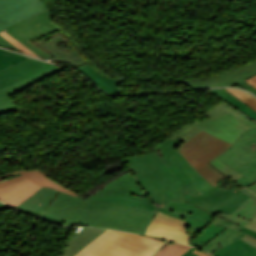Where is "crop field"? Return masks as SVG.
<instances>
[{
    "label": "crop field",
    "instance_id": "crop-field-1",
    "mask_svg": "<svg viewBox=\"0 0 256 256\" xmlns=\"http://www.w3.org/2000/svg\"><path fill=\"white\" fill-rule=\"evenodd\" d=\"M183 142L168 138L155 147L162 149L159 152L169 168L155 149V153L125 159L129 173L87 200L76 197L54 222L69 226L77 222L145 235L157 211L183 219L168 211L171 209L184 215L192 236L216 213L231 214L249 198L236 186L225 191L211 186L176 150Z\"/></svg>",
    "mask_w": 256,
    "mask_h": 256
},
{
    "label": "crop field",
    "instance_id": "crop-field-2",
    "mask_svg": "<svg viewBox=\"0 0 256 256\" xmlns=\"http://www.w3.org/2000/svg\"><path fill=\"white\" fill-rule=\"evenodd\" d=\"M167 242L132 233L106 230L73 256H151Z\"/></svg>",
    "mask_w": 256,
    "mask_h": 256
},
{
    "label": "crop field",
    "instance_id": "crop-field-3",
    "mask_svg": "<svg viewBox=\"0 0 256 256\" xmlns=\"http://www.w3.org/2000/svg\"><path fill=\"white\" fill-rule=\"evenodd\" d=\"M231 144L204 131L184 142L177 150L213 186L215 181L225 177L208 162L224 153Z\"/></svg>",
    "mask_w": 256,
    "mask_h": 256
},
{
    "label": "crop field",
    "instance_id": "crop-field-4",
    "mask_svg": "<svg viewBox=\"0 0 256 256\" xmlns=\"http://www.w3.org/2000/svg\"><path fill=\"white\" fill-rule=\"evenodd\" d=\"M19 172L22 174L21 176L0 183V201L13 208L33 195L42 186L52 187L70 195L77 196V194L73 193L74 191L71 192L72 190L69 191L70 189L68 190L62 187L63 185L61 186L57 184L58 182H54L38 170H23ZM19 172L0 176V178L14 175Z\"/></svg>",
    "mask_w": 256,
    "mask_h": 256
},
{
    "label": "crop field",
    "instance_id": "crop-field-5",
    "mask_svg": "<svg viewBox=\"0 0 256 256\" xmlns=\"http://www.w3.org/2000/svg\"><path fill=\"white\" fill-rule=\"evenodd\" d=\"M218 159L243 174L236 181L256 193V129L241 135L232 148Z\"/></svg>",
    "mask_w": 256,
    "mask_h": 256
},
{
    "label": "crop field",
    "instance_id": "crop-field-6",
    "mask_svg": "<svg viewBox=\"0 0 256 256\" xmlns=\"http://www.w3.org/2000/svg\"><path fill=\"white\" fill-rule=\"evenodd\" d=\"M54 14L48 10L41 14L32 16L24 21H21L6 30L9 35L18 40L20 43L28 47L34 53H36L41 58H49L48 54L32 45L28 41L35 39L39 36L51 33L53 31L59 30L58 26H56L53 22Z\"/></svg>",
    "mask_w": 256,
    "mask_h": 256
},
{
    "label": "crop field",
    "instance_id": "crop-field-7",
    "mask_svg": "<svg viewBox=\"0 0 256 256\" xmlns=\"http://www.w3.org/2000/svg\"><path fill=\"white\" fill-rule=\"evenodd\" d=\"M48 8L41 0H0V32Z\"/></svg>",
    "mask_w": 256,
    "mask_h": 256
},
{
    "label": "crop field",
    "instance_id": "crop-field-8",
    "mask_svg": "<svg viewBox=\"0 0 256 256\" xmlns=\"http://www.w3.org/2000/svg\"><path fill=\"white\" fill-rule=\"evenodd\" d=\"M231 144L244 131L255 128L252 125L224 112L213 118H209L196 126Z\"/></svg>",
    "mask_w": 256,
    "mask_h": 256
},
{
    "label": "crop field",
    "instance_id": "crop-field-9",
    "mask_svg": "<svg viewBox=\"0 0 256 256\" xmlns=\"http://www.w3.org/2000/svg\"><path fill=\"white\" fill-rule=\"evenodd\" d=\"M51 68L58 72L64 69L63 67L29 58L15 66L0 71V89L35 77Z\"/></svg>",
    "mask_w": 256,
    "mask_h": 256
},
{
    "label": "crop field",
    "instance_id": "crop-field-10",
    "mask_svg": "<svg viewBox=\"0 0 256 256\" xmlns=\"http://www.w3.org/2000/svg\"><path fill=\"white\" fill-rule=\"evenodd\" d=\"M146 235L187 244L189 235L183 220L157 212L147 227Z\"/></svg>",
    "mask_w": 256,
    "mask_h": 256
},
{
    "label": "crop field",
    "instance_id": "crop-field-11",
    "mask_svg": "<svg viewBox=\"0 0 256 256\" xmlns=\"http://www.w3.org/2000/svg\"><path fill=\"white\" fill-rule=\"evenodd\" d=\"M212 224L218 225V226H223L226 229L221 232L218 236L213 238L211 241H209L206 245H204L201 249L209 252V253H214L221 247H225L237 238L243 239L245 242L253 245L256 247V239L245 234L240 226H237L231 222H228L220 217H216V219L211 222Z\"/></svg>",
    "mask_w": 256,
    "mask_h": 256
},
{
    "label": "crop field",
    "instance_id": "crop-field-12",
    "mask_svg": "<svg viewBox=\"0 0 256 256\" xmlns=\"http://www.w3.org/2000/svg\"><path fill=\"white\" fill-rule=\"evenodd\" d=\"M256 74V62L244 66L239 69H235L219 76L204 79L202 81L188 82L178 80L192 88L203 87H220V86H234L239 82Z\"/></svg>",
    "mask_w": 256,
    "mask_h": 256
},
{
    "label": "crop field",
    "instance_id": "crop-field-13",
    "mask_svg": "<svg viewBox=\"0 0 256 256\" xmlns=\"http://www.w3.org/2000/svg\"><path fill=\"white\" fill-rule=\"evenodd\" d=\"M58 193L59 191L52 188L42 187L28 200L16 207V209L40 217ZM39 203H42V205H38Z\"/></svg>",
    "mask_w": 256,
    "mask_h": 256
},
{
    "label": "crop field",
    "instance_id": "crop-field-14",
    "mask_svg": "<svg viewBox=\"0 0 256 256\" xmlns=\"http://www.w3.org/2000/svg\"><path fill=\"white\" fill-rule=\"evenodd\" d=\"M55 73H57V71L52 69L40 76H37L35 78L24 81L17 85L0 90V115L18 110L17 107L14 105V103L9 98V95H13L29 86L35 84L36 82H38L50 75L55 74Z\"/></svg>",
    "mask_w": 256,
    "mask_h": 256
},
{
    "label": "crop field",
    "instance_id": "crop-field-15",
    "mask_svg": "<svg viewBox=\"0 0 256 256\" xmlns=\"http://www.w3.org/2000/svg\"><path fill=\"white\" fill-rule=\"evenodd\" d=\"M98 84L102 89L110 94H120V89H118V80L103 76L98 71H96L92 66L89 64L76 69Z\"/></svg>",
    "mask_w": 256,
    "mask_h": 256
},
{
    "label": "crop field",
    "instance_id": "crop-field-16",
    "mask_svg": "<svg viewBox=\"0 0 256 256\" xmlns=\"http://www.w3.org/2000/svg\"><path fill=\"white\" fill-rule=\"evenodd\" d=\"M103 231L104 229L82 228L81 231L77 234V236L67 246L66 250H61V254L66 256H72L80 248H82L84 245H86L88 242H90L93 238H95L98 234H100Z\"/></svg>",
    "mask_w": 256,
    "mask_h": 256
},
{
    "label": "crop field",
    "instance_id": "crop-field-17",
    "mask_svg": "<svg viewBox=\"0 0 256 256\" xmlns=\"http://www.w3.org/2000/svg\"><path fill=\"white\" fill-rule=\"evenodd\" d=\"M214 256H256V248L240 238L213 254Z\"/></svg>",
    "mask_w": 256,
    "mask_h": 256
},
{
    "label": "crop field",
    "instance_id": "crop-field-18",
    "mask_svg": "<svg viewBox=\"0 0 256 256\" xmlns=\"http://www.w3.org/2000/svg\"><path fill=\"white\" fill-rule=\"evenodd\" d=\"M75 197L60 192L53 200L41 218L53 221L55 217L74 199Z\"/></svg>",
    "mask_w": 256,
    "mask_h": 256
},
{
    "label": "crop field",
    "instance_id": "crop-field-19",
    "mask_svg": "<svg viewBox=\"0 0 256 256\" xmlns=\"http://www.w3.org/2000/svg\"><path fill=\"white\" fill-rule=\"evenodd\" d=\"M225 228L218 227L212 224H209L191 243L195 247L200 248L217 234H219Z\"/></svg>",
    "mask_w": 256,
    "mask_h": 256
},
{
    "label": "crop field",
    "instance_id": "crop-field-20",
    "mask_svg": "<svg viewBox=\"0 0 256 256\" xmlns=\"http://www.w3.org/2000/svg\"><path fill=\"white\" fill-rule=\"evenodd\" d=\"M189 248L191 247L178 243L165 244L154 256H181Z\"/></svg>",
    "mask_w": 256,
    "mask_h": 256
},
{
    "label": "crop field",
    "instance_id": "crop-field-21",
    "mask_svg": "<svg viewBox=\"0 0 256 256\" xmlns=\"http://www.w3.org/2000/svg\"><path fill=\"white\" fill-rule=\"evenodd\" d=\"M224 111H227V112L231 113L232 115H234V116H236V117H238V118H240V119H242V120H244V121H246V122H248V123H250V124L256 126V123H255V122H253L252 120L246 118V117L243 116L241 113H239V112L233 110L232 108H230L229 106L225 105V104L222 103V102H221L220 104L216 105V106H215L214 108H212L211 110L205 112V115H207V116H209V117H212V116H215V115H217V114H219V113H222V112H224Z\"/></svg>",
    "mask_w": 256,
    "mask_h": 256
},
{
    "label": "crop field",
    "instance_id": "crop-field-22",
    "mask_svg": "<svg viewBox=\"0 0 256 256\" xmlns=\"http://www.w3.org/2000/svg\"><path fill=\"white\" fill-rule=\"evenodd\" d=\"M28 57L0 49V70L10 67Z\"/></svg>",
    "mask_w": 256,
    "mask_h": 256
},
{
    "label": "crop field",
    "instance_id": "crop-field-23",
    "mask_svg": "<svg viewBox=\"0 0 256 256\" xmlns=\"http://www.w3.org/2000/svg\"><path fill=\"white\" fill-rule=\"evenodd\" d=\"M198 124L199 122L197 121L194 122L193 124H188L185 127H183L181 130H179L177 133H175L173 136H171L170 138L175 140L178 137H180L181 139L186 141L190 139L192 136H194L196 133L201 131L200 129L195 127Z\"/></svg>",
    "mask_w": 256,
    "mask_h": 256
},
{
    "label": "crop field",
    "instance_id": "crop-field-24",
    "mask_svg": "<svg viewBox=\"0 0 256 256\" xmlns=\"http://www.w3.org/2000/svg\"><path fill=\"white\" fill-rule=\"evenodd\" d=\"M214 168H216L218 171H220L222 174H224L225 176H230L233 179H238L239 177L243 176L241 174H239L238 172H236L235 170L229 168L228 166H226L224 163H222L221 161H219L218 159H213L211 162H209Z\"/></svg>",
    "mask_w": 256,
    "mask_h": 256
},
{
    "label": "crop field",
    "instance_id": "crop-field-25",
    "mask_svg": "<svg viewBox=\"0 0 256 256\" xmlns=\"http://www.w3.org/2000/svg\"><path fill=\"white\" fill-rule=\"evenodd\" d=\"M229 91L232 95L236 96L239 98L242 102H244L246 105L250 106L252 109L256 110V98L253 96L238 90V89H226ZM254 110V111H255Z\"/></svg>",
    "mask_w": 256,
    "mask_h": 256
},
{
    "label": "crop field",
    "instance_id": "crop-field-26",
    "mask_svg": "<svg viewBox=\"0 0 256 256\" xmlns=\"http://www.w3.org/2000/svg\"><path fill=\"white\" fill-rule=\"evenodd\" d=\"M4 38H6L8 41H10L12 44H14L16 47H18L21 51H23L25 54L30 55V56H34V57H38L37 55H35L33 52H31L29 49H27L25 46H23L22 44H20L18 41H16L15 39H13L11 36H9L7 33H5L4 31L0 33ZM39 58V57H38Z\"/></svg>",
    "mask_w": 256,
    "mask_h": 256
},
{
    "label": "crop field",
    "instance_id": "crop-field-27",
    "mask_svg": "<svg viewBox=\"0 0 256 256\" xmlns=\"http://www.w3.org/2000/svg\"><path fill=\"white\" fill-rule=\"evenodd\" d=\"M0 46L21 52L18 48H16L14 45H12L10 42H8L2 36H0Z\"/></svg>",
    "mask_w": 256,
    "mask_h": 256
},
{
    "label": "crop field",
    "instance_id": "crop-field-28",
    "mask_svg": "<svg viewBox=\"0 0 256 256\" xmlns=\"http://www.w3.org/2000/svg\"><path fill=\"white\" fill-rule=\"evenodd\" d=\"M245 227L256 231V216L248 224H246Z\"/></svg>",
    "mask_w": 256,
    "mask_h": 256
},
{
    "label": "crop field",
    "instance_id": "crop-field-29",
    "mask_svg": "<svg viewBox=\"0 0 256 256\" xmlns=\"http://www.w3.org/2000/svg\"><path fill=\"white\" fill-rule=\"evenodd\" d=\"M243 87H245L247 90L253 92L256 94V90L251 86L249 85L248 83H246L245 81L240 83Z\"/></svg>",
    "mask_w": 256,
    "mask_h": 256
},
{
    "label": "crop field",
    "instance_id": "crop-field-30",
    "mask_svg": "<svg viewBox=\"0 0 256 256\" xmlns=\"http://www.w3.org/2000/svg\"><path fill=\"white\" fill-rule=\"evenodd\" d=\"M245 81L250 83L254 88H256V76H254L248 80H245Z\"/></svg>",
    "mask_w": 256,
    "mask_h": 256
},
{
    "label": "crop field",
    "instance_id": "crop-field-31",
    "mask_svg": "<svg viewBox=\"0 0 256 256\" xmlns=\"http://www.w3.org/2000/svg\"><path fill=\"white\" fill-rule=\"evenodd\" d=\"M195 248H191L190 250H188L185 254H183L182 256H198L196 255L195 253H193L192 251L194 250Z\"/></svg>",
    "mask_w": 256,
    "mask_h": 256
},
{
    "label": "crop field",
    "instance_id": "crop-field-32",
    "mask_svg": "<svg viewBox=\"0 0 256 256\" xmlns=\"http://www.w3.org/2000/svg\"><path fill=\"white\" fill-rule=\"evenodd\" d=\"M241 228H242V230H243L244 232H246V233H248V234H250V235L256 237V232L251 231V230H249V229H247V228H245V227H241Z\"/></svg>",
    "mask_w": 256,
    "mask_h": 256
},
{
    "label": "crop field",
    "instance_id": "crop-field-33",
    "mask_svg": "<svg viewBox=\"0 0 256 256\" xmlns=\"http://www.w3.org/2000/svg\"><path fill=\"white\" fill-rule=\"evenodd\" d=\"M193 252H195L196 254H198V255H200V256H210V255H208V254H206V253H204V252H202V251H200V250H198V249H196V250L193 251Z\"/></svg>",
    "mask_w": 256,
    "mask_h": 256
},
{
    "label": "crop field",
    "instance_id": "crop-field-34",
    "mask_svg": "<svg viewBox=\"0 0 256 256\" xmlns=\"http://www.w3.org/2000/svg\"><path fill=\"white\" fill-rule=\"evenodd\" d=\"M243 192L246 193V194H248V195H250V196H252V197H254V198L256 199V195L253 194L252 192L248 191L247 189L244 188V189H243Z\"/></svg>",
    "mask_w": 256,
    "mask_h": 256
},
{
    "label": "crop field",
    "instance_id": "crop-field-35",
    "mask_svg": "<svg viewBox=\"0 0 256 256\" xmlns=\"http://www.w3.org/2000/svg\"><path fill=\"white\" fill-rule=\"evenodd\" d=\"M5 208H9V207L0 202V210H1V209H5Z\"/></svg>",
    "mask_w": 256,
    "mask_h": 256
},
{
    "label": "crop field",
    "instance_id": "crop-field-36",
    "mask_svg": "<svg viewBox=\"0 0 256 256\" xmlns=\"http://www.w3.org/2000/svg\"><path fill=\"white\" fill-rule=\"evenodd\" d=\"M156 150L158 151V150H160V149L158 148V149H156Z\"/></svg>",
    "mask_w": 256,
    "mask_h": 256
},
{
    "label": "crop field",
    "instance_id": "crop-field-37",
    "mask_svg": "<svg viewBox=\"0 0 256 256\" xmlns=\"http://www.w3.org/2000/svg\"><path fill=\"white\" fill-rule=\"evenodd\" d=\"M159 155V154H158ZM160 156V155H159ZM161 158V157H160Z\"/></svg>",
    "mask_w": 256,
    "mask_h": 256
}]
</instances>
